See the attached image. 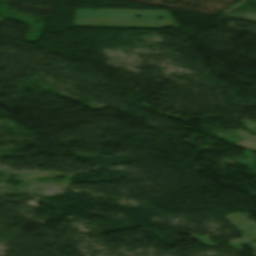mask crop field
<instances>
[{"label":"crop field","mask_w":256,"mask_h":256,"mask_svg":"<svg viewBox=\"0 0 256 256\" xmlns=\"http://www.w3.org/2000/svg\"><path fill=\"white\" fill-rule=\"evenodd\" d=\"M237 134L241 136L244 140L239 143H235L236 145L250 148L249 146H252L250 149L256 150V136H250L243 130H236Z\"/></svg>","instance_id":"1"}]
</instances>
